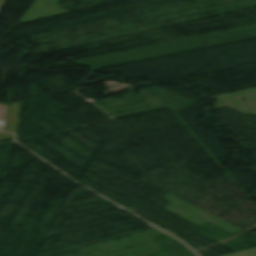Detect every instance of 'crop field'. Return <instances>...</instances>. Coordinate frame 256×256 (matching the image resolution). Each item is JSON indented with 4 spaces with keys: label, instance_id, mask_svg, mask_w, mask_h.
<instances>
[{
    "label": "crop field",
    "instance_id": "crop-field-3",
    "mask_svg": "<svg viewBox=\"0 0 256 256\" xmlns=\"http://www.w3.org/2000/svg\"><path fill=\"white\" fill-rule=\"evenodd\" d=\"M7 0H0V8L3 7V5L6 3Z\"/></svg>",
    "mask_w": 256,
    "mask_h": 256
},
{
    "label": "crop field",
    "instance_id": "crop-field-1",
    "mask_svg": "<svg viewBox=\"0 0 256 256\" xmlns=\"http://www.w3.org/2000/svg\"><path fill=\"white\" fill-rule=\"evenodd\" d=\"M225 256H256V248L241 251L238 253H233Z\"/></svg>",
    "mask_w": 256,
    "mask_h": 256
},
{
    "label": "crop field",
    "instance_id": "crop-field-2",
    "mask_svg": "<svg viewBox=\"0 0 256 256\" xmlns=\"http://www.w3.org/2000/svg\"><path fill=\"white\" fill-rule=\"evenodd\" d=\"M5 108H6V106L0 105V130H1V127H2V122H3V118H4Z\"/></svg>",
    "mask_w": 256,
    "mask_h": 256
}]
</instances>
